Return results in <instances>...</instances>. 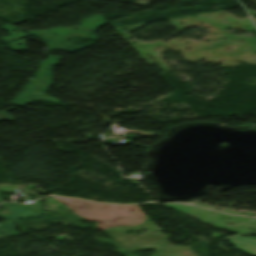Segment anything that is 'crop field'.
<instances>
[{"label":"crop field","instance_id":"obj_2","mask_svg":"<svg viewBox=\"0 0 256 256\" xmlns=\"http://www.w3.org/2000/svg\"><path fill=\"white\" fill-rule=\"evenodd\" d=\"M11 109H14V108H11ZM11 109H9V110H11ZM7 111H8V110H7ZM3 119H6V120H8V121H13V120H14V118L8 116L5 111L0 112V120H3Z\"/></svg>","mask_w":256,"mask_h":256},{"label":"crop field","instance_id":"obj_1","mask_svg":"<svg viewBox=\"0 0 256 256\" xmlns=\"http://www.w3.org/2000/svg\"><path fill=\"white\" fill-rule=\"evenodd\" d=\"M231 245L236 249L247 254L256 256V238L247 236H238L229 238Z\"/></svg>","mask_w":256,"mask_h":256}]
</instances>
